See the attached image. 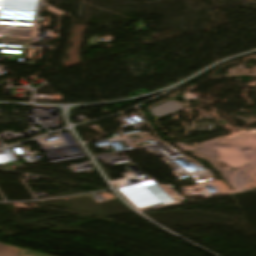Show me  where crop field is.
Listing matches in <instances>:
<instances>
[{"mask_svg": "<svg viewBox=\"0 0 256 256\" xmlns=\"http://www.w3.org/2000/svg\"><path fill=\"white\" fill-rule=\"evenodd\" d=\"M20 248L0 243V256H18Z\"/></svg>", "mask_w": 256, "mask_h": 256, "instance_id": "1", "label": "crop field"}, {"mask_svg": "<svg viewBox=\"0 0 256 256\" xmlns=\"http://www.w3.org/2000/svg\"><path fill=\"white\" fill-rule=\"evenodd\" d=\"M20 253H35V252H31V251L21 249ZM42 256H46V255H42Z\"/></svg>", "mask_w": 256, "mask_h": 256, "instance_id": "3", "label": "crop field"}, {"mask_svg": "<svg viewBox=\"0 0 256 256\" xmlns=\"http://www.w3.org/2000/svg\"><path fill=\"white\" fill-rule=\"evenodd\" d=\"M19 256H41L40 254H20Z\"/></svg>", "mask_w": 256, "mask_h": 256, "instance_id": "2", "label": "crop field"}]
</instances>
